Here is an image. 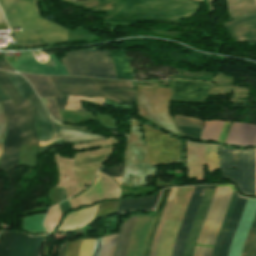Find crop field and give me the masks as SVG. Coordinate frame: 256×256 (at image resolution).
I'll list each match as a JSON object with an SVG mask.
<instances>
[{"mask_svg": "<svg viewBox=\"0 0 256 256\" xmlns=\"http://www.w3.org/2000/svg\"><path fill=\"white\" fill-rule=\"evenodd\" d=\"M35 0H0V8L9 27L21 26L23 32L14 33L17 43L9 47L51 45L66 41L67 29L41 19L36 11Z\"/></svg>", "mask_w": 256, "mask_h": 256, "instance_id": "crop-field-1", "label": "crop field"}, {"mask_svg": "<svg viewBox=\"0 0 256 256\" xmlns=\"http://www.w3.org/2000/svg\"><path fill=\"white\" fill-rule=\"evenodd\" d=\"M75 6L109 15H129L180 20L190 17L200 6L190 0H90Z\"/></svg>", "mask_w": 256, "mask_h": 256, "instance_id": "crop-field-2", "label": "crop field"}, {"mask_svg": "<svg viewBox=\"0 0 256 256\" xmlns=\"http://www.w3.org/2000/svg\"><path fill=\"white\" fill-rule=\"evenodd\" d=\"M220 167L221 176L235 182L240 193L255 196L256 150H226L220 147Z\"/></svg>", "mask_w": 256, "mask_h": 256, "instance_id": "crop-field-3", "label": "crop field"}, {"mask_svg": "<svg viewBox=\"0 0 256 256\" xmlns=\"http://www.w3.org/2000/svg\"><path fill=\"white\" fill-rule=\"evenodd\" d=\"M172 88L143 87L137 84V104L140 115L162 130L179 135L168 105Z\"/></svg>", "mask_w": 256, "mask_h": 256, "instance_id": "crop-field-4", "label": "crop field"}, {"mask_svg": "<svg viewBox=\"0 0 256 256\" xmlns=\"http://www.w3.org/2000/svg\"><path fill=\"white\" fill-rule=\"evenodd\" d=\"M62 62L70 75L117 79L109 51L80 50L68 52Z\"/></svg>", "mask_w": 256, "mask_h": 256, "instance_id": "crop-field-5", "label": "crop field"}, {"mask_svg": "<svg viewBox=\"0 0 256 256\" xmlns=\"http://www.w3.org/2000/svg\"><path fill=\"white\" fill-rule=\"evenodd\" d=\"M149 174L156 175V168L149 166L139 123L131 118L129 145L122 184L147 185L145 178Z\"/></svg>", "mask_w": 256, "mask_h": 256, "instance_id": "crop-field-6", "label": "crop field"}, {"mask_svg": "<svg viewBox=\"0 0 256 256\" xmlns=\"http://www.w3.org/2000/svg\"><path fill=\"white\" fill-rule=\"evenodd\" d=\"M5 73L18 89L23 98H29L30 100V104L32 106L36 120L39 145L60 139V133L55 125L54 120L48 115L42 102L37 98L29 83L17 74L9 72Z\"/></svg>", "mask_w": 256, "mask_h": 256, "instance_id": "crop-field-7", "label": "crop field"}, {"mask_svg": "<svg viewBox=\"0 0 256 256\" xmlns=\"http://www.w3.org/2000/svg\"><path fill=\"white\" fill-rule=\"evenodd\" d=\"M142 126L150 164L159 165L166 163H179V141L144 124H142Z\"/></svg>", "mask_w": 256, "mask_h": 256, "instance_id": "crop-field-8", "label": "crop field"}, {"mask_svg": "<svg viewBox=\"0 0 256 256\" xmlns=\"http://www.w3.org/2000/svg\"><path fill=\"white\" fill-rule=\"evenodd\" d=\"M1 104L8 119V131L0 161V170L8 172L10 169L19 166L18 153L22 141V130L12 101H5Z\"/></svg>", "mask_w": 256, "mask_h": 256, "instance_id": "crop-field-9", "label": "crop field"}, {"mask_svg": "<svg viewBox=\"0 0 256 256\" xmlns=\"http://www.w3.org/2000/svg\"><path fill=\"white\" fill-rule=\"evenodd\" d=\"M0 85L11 97L18 112L21 128L23 130L22 145L37 141V132L34 124V116L28 100H23L17 89L11 83L4 71L0 70Z\"/></svg>", "mask_w": 256, "mask_h": 256, "instance_id": "crop-field-10", "label": "crop field"}, {"mask_svg": "<svg viewBox=\"0 0 256 256\" xmlns=\"http://www.w3.org/2000/svg\"><path fill=\"white\" fill-rule=\"evenodd\" d=\"M44 237L0 232V256H37Z\"/></svg>", "mask_w": 256, "mask_h": 256, "instance_id": "crop-field-11", "label": "crop field"}, {"mask_svg": "<svg viewBox=\"0 0 256 256\" xmlns=\"http://www.w3.org/2000/svg\"><path fill=\"white\" fill-rule=\"evenodd\" d=\"M60 95L100 96L91 78L50 76Z\"/></svg>", "mask_w": 256, "mask_h": 256, "instance_id": "crop-field-12", "label": "crop field"}, {"mask_svg": "<svg viewBox=\"0 0 256 256\" xmlns=\"http://www.w3.org/2000/svg\"><path fill=\"white\" fill-rule=\"evenodd\" d=\"M205 187L206 186H198L194 188L186 214L184 216L180 231L176 239L172 256H183L185 244L190 233Z\"/></svg>", "mask_w": 256, "mask_h": 256, "instance_id": "crop-field-13", "label": "crop field"}, {"mask_svg": "<svg viewBox=\"0 0 256 256\" xmlns=\"http://www.w3.org/2000/svg\"><path fill=\"white\" fill-rule=\"evenodd\" d=\"M209 83L173 80L172 100L180 102H203L207 97Z\"/></svg>", "mask_w": 256, "mask_h": 256, "instance_id": "crop-field-14", "label": "crop field"}, {"mask_svg": "<svg viewBox=\"0 0 256 256\" xmlns=\"http://www.w3.org/2000/svg\"><path fill=\"white\" fill-rule=\"evenodd\" d=\"M102 97L119 103L133 105L134 91H104L109 89H132L131 82L93 79Z\"/></svg>", "mask_w": 256, "mask_h": 256, "instance_id": "crop-field-15", "label": "crop field"}, {"mask_svg": "<svg viewBox=\"0 0 256 256\" xmlns=\"http://www.w3.org/2000/svg\"><path fill=\"white\" fill-rule=\"evenodd\" d=\"M54 65L51 67L39 68L34 62L29 52L21 53V59L11 62L10 65L20 72H28L35 74H52V75H68L64 65H61L55 54L51 55Z\"/></svg>", "mask_w": 256, "mask_h": 256, "instance_id": "crop-field-16", "label": "crop field"}, {"mask_svg": "<svg viewBox=\"0 0 256 256\" xmlns=\"http://www.w3.org/2000/svg\"><path fill=\"white\" fill-rule=\"evenodd\" d=\"M216 186L217 185L206 187L191 233L189 235V238L186 244L184 256H192L193 254L196 239L198 237L199 231L201 229L202 223L204 221L205 215L207 213V210L210 205Z\"/></svg>", "mask_w": 256, "mask_h": 256, "instance_id": "crop-field-17", "label": "crop field"}, {"mask_svg": "<svg viewBox=\"0 0 256 256\" xmlns=\"http://www.w3.org/2000/svg\"><path fill=\"white\" fill-rule=\"evenodd\" d=\"M227 31L256 25V15L244 17L223 23ZM237 42L256 41V26H251L230 32ZM234 39V40H235Z\"/></svg>", "mask_w": 256, "mask_h": 256, "instance_id": "crop-field-18", "label": "crop field"}, {"mask_svg": "<svg viewBox=\"0 0 256 256\" xmlns=\"http://www.w3.org/2000/svg\"><path fill=\"white\" fill-rule=\"evenodd\" d=\"M153 216L138 215L126 256H141L144 240Z\"/></svg>", "mask_w": 256, "mask_h": 256, "instance_id": "crop-field-19", "label": "crop field"}, {"mask_svg": "<svg viewBox=\"0 0 256 256\" xmlns=\"http://www.w3.org/2000/svg\"><path fill=\"white\" fill-rule=\"evenodd\" d=\"M225 143L256 146V126L233 122Z\"/></svg>", "mask_w": 256, "mask_h": 256, "instance_id": "crop-field-20", "label": "crop field"}, {"mask_svg": "<svg viewBox=\"0 0 256 256\" xmlns=\"http://www.w3.org/2000/svg\"><path fill=\"white\" fill-rule=\"evenodd\" d=\"M247 199L238 197L235 208L233 210L232 216L230 218L229 224L227 226L226 232L224 234L223 240L220 245L218 256H227L230 244L232 242L235 230L237 228L239 219L241 217L244 205Z\"/></svg>", "mask_w": 256, "mask_h": 256, "instance_id": "crop-field-21", "label": "crop field"}, {"mask_svg": "<svg viewBox=\"0 0 256 256\" xmlns=\"http://www.w3.org/2000/svg\"><path fill=\"white\" fill-rule=\"evenodd\" d=\"M22 76L26 77L29 82L34 87L37 95L40 98L49 97V96H58V93L50 80L49 76H35L29 74L19 73Z\"/></svg>", "mask_w": 256, "mask_h": 256, "instance_id": "crop-field-22", "label": "crop field"}, {"mask_svg": "<svg viewBox=\"0 0 256 256\" xmlns=\"http://www.w3.org/2000/svg\"><path fill=\"white\" fill-rule=\"evenodd\" d=\"M159 193L160 192L146 198H139V199L127 198L126 200H121L116 213L131 211L135 209L149 210V208H154L156 201L158 199Z\"/></svg>", "mask_w": 256, "mask_h": 256, "instance_id": "crop-field-23", "label": "crop field"}, {"mask_svg": "<svg viewBox=\"0 0 256 256\" xmlns=\"http://www.w3.org/2000/svg\"><path fill=\"white\" fill-rule=\"evenodd\" d=\"M228 10L231 18L256 14L255 0H227Z\"/></svg>", "mask_w": 256, "mask_h": 256, "instance_id": "crop-field-24", "label": "crop field"}, {"mask_svg": "<svg viewBox=\"0 0 256 256\" xmlns=\"http://www.w3.org/2000/svg\"><path fill=\"white\" fill-rule=\"evenodd\" d=\"M170 190L171 189H164V191L162 193V196H161V199H160L157 211H156V213H155V215L153 217V221H152L151 227H150L149 232H148V234L146 236V240H145L142 256H149L151 245H152V241H153V237H154V233H155V230H156V227H157V224H158V220H159V217H160V215H161V213L163 211V208L165 206V203H166V200L168 198Z\"/></svg>", "mask_w": 256, "mask_h": 256, "instance_id": "crop-field-25", "label": "crop field"}, {"mask_svg": "<svg viewBox=\"0 0 256 256\" xmlns=\"http://www.w3.org/2000/svg\"><path fill=\"white\" fill-rule=\"evenodd\" d=\"M56 124L62 134V139L64 144L75 142V141H85V140H94L97 138H103V136H100V135L83 133V130H75L72 128L62 127L65 125H62L58 122H56ZM67 127H73V126H67ZM73 128H79V127H73ZM83 128L87 129L88 127H83Z\"/></svg>", "mask_w": 256, "mask_h": 256, "instance_id": "crop-field-26", "label": "crop field"}, {"mask_svg": "<svg viewBox=\"0 0 256 256\" xmlns=\"http://www.w3.org/2000/svg\"><path fill=\"white\" fill-rule=\"evenodd\" d=\"M137 216L130 217L127 221H125L121 226V232L118 236L114 256H125L130 234L135 223Z\"/></svg>", "mask_w": 256, "mask_h": 256, "instance_id": "crop-field-27", "label": "crop field"}, {"mask_svg": "<svg viewBox=\"0 0 256 256\" xmlns=\"http://www.w3.org/2000/svg\"><path fill=\"white\" fill-rule=\"evenodd\" d=\"M118 79L132 80L128 59L124 50L110 51Z\"/></svg>", "mask_w": 256, "mask_h": 256, "instance_id": "crop-field-28", "label": "crop field"}, {"mask_svg": "<svg viewBox=\"0 0 256 256\" xmlns=\"http://www.w3.org/2000/svg\"><path fill=\"white\" fill-rule=\"evenodd\" d=\"M231 90H234V95L231 99V102L244 103L242 101H238V98H245L247 95L248 88H229V87L218 86V85L212 84L208 95H226Z\"/></svg>", "mask_w": 256, "mask_h": 256, "instance_id": "crop-field-29", "label": "crop field"}, {"mask_svg": "<svg viewBox=\"0 0 256 256\" xmlns=\"http://www.w3.org/2000/svg\"><path fill=\"white\" fill-rule=\"evenodd\" d=\"M45 213L23 217V230L33 233L47 232L42 226Z\"/></svg>", "mask_w": 256, "mask_h": 256, "instance_id": "crop-field-30", "label": "crop field"}, {"mask_svg": "<svg viewBox=\"0 0 256 256\" xmlns=\"http://www.w3.org/2000/svg\"><path fill=\"white\" fill-rule=\"evenodd\" d=\"M223 123L224 122L219 121V120L206 121L205 125H204L203 132H202L201 139L217 141L219 134L221 132Z\"/></svg>", "mask_w": 256, "mask_h": 256, "instance_id": "crop-field-31", "label": "crop field"}, {"mask_svg": "<svg viewBox=\"0 0 256 256\" xmlns=\"http://www.w3.org/2000/svg\"><path fill=\"white\" fill-rule=\"evenodd\" d=\"M256 242V212L248 231L245 243L242 248L241 256H251L253 247Z\"/></svg>", "mask_w": 256, "mask_h": 256, "instance_id": "crop-field-32", "label": "crop field"}, {"mask_svg": "<svg viewBox=\"0 0 256 256\" xmlns=\"http://www.w3.org/2000/svg\"><path fill=\"white\" fill-rule=\"evenodd\" d=\"M218 146L207 145L205 146L204 158L207 165L208 173L218 169Z\"/></svg>", "mask_w": 256, "mask_h": 256, "instance_id": "crop-field-33", "label": "crop field"}, {"mask_svg": "<svg viewBox=\"0 0 256 256\" xmlns=\"http://www.w3.org/2000/svg\"><path fill=\"white\" fill-rule=\"evenodd\" d=\"M237 197H238V196L235 194V191H234V194H233L232 199H231V202H230V204H229L227 213H226L225 218H224V221H223V223H222L220 232H219L218 237H217V240H216V242H215L212 256H217L220 242H221V240H222L223 234H224V232H225L226 226H227V224H228V221H229V218H230V216H231V213H232V210H233V208H234V205H235V202H236V200H237Z\"/></svg>", "mask_w": 256, "mask_h": 256, "instance_id": "crop-field-34", "label": "crop field"}, {"mask_svg": "<svg viewBox=\"0 0 256 256\" xmlns=\"http://www.w3.org/2000/svg\"><path fill=\"white\" fill-rule=\"evenodd\" d=\"M53 207V206H52ZM61 218V213L59 209V205L57 204L53 208H51L46 216L44 221V227L48 230V232L53 231L58 221Z\"/></svg>", "mask_w": 256, "mask_h": 256, "instance_id": "crop-field-35", "label": "crop field"}, {"mask_svg": "<svg viewBox=\"0 0 256 256\" xmlns=\"http://www.w3.org/2000/svg\"><path fill=\"white\" fill-rule=\"evenodd\" d=\"M117 235L105 237L103 240L100 256H113Z\"/></svg>", "mask_w": 256, "mask_h": 256, "instance_id": "crop-field-36", "label": "crop field"}, {"mask_svg": "<svg viewBox=\"0 0 256 256\" xmlns=\"http://www.w3.org/2000/svg\"><path fill=\"white\" fill-rule=\"evenodd\" d=\"M176 189H177V188H174V189L171 190V193H170V195H169V198H168L166 207H165V209H164L162 218H161V220H160V223H159V226H158V229H157V232H156L154 238H159V237H160V234H161V231H162V229H163V226H164V223H165L167 214H168V212H169V209H170V206H171L173 197H174V195H175Z\"/></svg>", "mask_w": 256, "mask_h": 256, "instance_id": "crop-field-37", "label": "crop field"}, {"mask_svg": "<svg viewBox=\"0 0 256 256\" xmlns=\"http://www.w3.org/2000/svg\"><path fill=\"white\" fill-rule=\"evenodd\" d=\"M175 121L177 125H184V126H196V127H201L202 126V121L194 118H188L184 116H178L174 115Z\"/></svg>", "mask_w": 256, "mask_h": 256, "instance_id": "crop-field-38", "label": "crop field"}, {"mask_svg": "<svg viewBox=\"0 0 256 256\" xmlns=\"http://www.w3.org/2000/svg\"><path fill=\"white\" fill-rule=\"evenodd\" d=\"M107 155L108 154H102V155H95V156H89V157H83V158H75L74 166L83 165V164H89V163L102 162V160Z\"/></svg>", "mask_w": 256, "mask_h": 256, "instance_id": "crop-field-39", "label": "crop field"}, {"mask_svg": "<svg viewBox=\"0 0 256 256\" xmlns=\"http://www.w3.org/2000/svg\"><path fill=\"white\" fill-rule=\"evenodd\" d=\"M181 136L197 139L201 128L178 126Z\"/></svg>", "mask_w": 256, "mask_h": 256, "instance_id": "crop-field-40", "label": "crop field"}, {"mask_svg": "<svg viewBox=\"0 0 256 256\" xmlns=\"http://www.w3.org/2000/svg\"><path fill=\"white\" fill-rule=\"evenodd\" d=\"M95 239L83 240L79 256H91Z\"/></svg>", "mask_w": 256, "mask_h": 256, "instance_id": "crop-field-41", "label": "crop field"}, {"mask_svg": "<svg viewBox=\"0 0 256 256\" xmlns=\"http://www.w3.org/2000/svg\"><path fill=\"white\" fill-rule=\"evenodd\" d=\"M81 241L69 243L68 246H67L65 256H78Z\"/></svg>", "mask_w": 256, "mask_h": 256, "instance_id": "crop-field-42", "label": "crop field"}, {"mask_svg": "<svg viewBox=\"0 0 256 256\" xmlns=\"http://www.w3.org/2000/svg\"><path fill=\"white\" fill-rule=\"evenodd\" d=\"M213 82L221 83L226 86H231L233 77L218 73L212 80Z\"/></svg>", "mask_w": 256, "mask_h": 256, "instance_id": "crop-field-43", "label": "crop field"}, {"mask_svg": "<svg viewBox=\"0 0 256 256\" xmlns=\"http://www.w3.org/2000/svg\"><path fill=\"white\" fill-rule=\"evenodd\" d=\"M48 105H46L47 109L49 110L50 114L53 115L55 118L59 119L60 121L61 118L59 116V113L57 111L56 105L54 103L53 98H46Z\"/></svg>", "mask_w": 256, "mask_h": 256, "instance_id": "crop-field-44", "label": "crop field"}, {"mask_svg": "<svg viewBox=\"0 0 256 256\" xmlns=\"http://www.w3.org/2000/svg\"><path fill=\"white\" fill-rule=\"evenodd\" d=\"M5 129H6L5 117L0 106V152H1L3 138L5 135Z\"/></svg>", "mask_w": 256, "mask_h": 256, "instance_id": "crop-field-45", "label": "crop field"}, {"mask_svg": "<svg viewBox=\"0 0 256 256\" xmlns=\"http://www.w3.org/2000/svg\"><path fill=\"white\" fill-rule=\"evenodd\" d=\"M99 170H101L102 172H104L110 176L120 175V174H122L123 165L114 166V167H110V168H101Z\"/></svg>", "mask_w": 256, "mask_h": 256, "instance_id": "crop-field-46", "label": "crop field"}, {"mask_svg": "<svg viewBox=\"0 0 256 256\" xmlns=\"http://www.w3.org/2000/svg\"><path fill=\"white\" fill-rule=\"evenodd\" d=\"M183 145H184V140L180 139V144H179L180 163H181L183 168H186L185 159H184V152H183Z\"/></svg>", "mask_w": 256, "mask_h": 256, "instance_id": "crop-field-47", "label": "crop field"}, {"mask_svg": "<svg viewBox=\"0 0 256 256\" xmlns=\"http://www.w3.org/2000/svg\"><path fill=\"white\" fill-rule=\"evenodd\" d=\"M230 121H226L225 124H224V127H223V130L221 132V135H220V138H219V142H225V138H226V134H227V131H228V128L230 126Z\"/></svg>", "mask_w": 256, "mask_h": 256, "instance_id": "crop-field-48", "label": "crop field"}, {"mask_svg": "<svg viewBox=\"0 0 256 256\" xmlns=\"http://www.w3.org/2000/svg\"><path fill=\"white\" fill-rule=\"evenodd\" d=\"M102 239H103V238H101V239H96L92 256H99V252H100V248H101Z\"/></svg>", "mask_w": 256, "mask_h": 256, "instance_id": "crop-field-49", "label": "crop field"}, {"mask_svg": "<svg viewBox=\"0 0 256 256\" xmlns=\"http://www.w3.org/2000/svg\"><path fill=\"white\" fill-rule=\"evenodd\" d=\"M62 214L64 215L68 210H70V204L68 200L60 203Z\"/></svg>", "mask_w": 256, "mask_h": 256, "instance_id": "crop-field-50", "label": "crop field"}, {"mask_svg": "<svg viewBox=\"0 0 256 256\" xmlns=\"http://www.w3.org/2000/svg\"><path fill=\"white\" fill-rule=\"evenodd\" d=\"M66 97L54 98L59 109H63Z\"/></svg>", "mask_w": 256, "mask_h": 256, "instance_id": "crop-field-51", "label": "crop field"}, {"mask_svg": "<svg viewBox=\"0 0 256 256\" xmlns=\"http://www.w3.org/2000/svg\"><path fill=\"white\" fill-rule=\"evenodd\" d=\"M0 69L14 71V70L6 63V61H5L4 59H1V60H0Z\"/></svg>", "mask_w": 256, "mask_h": 256, "instance_id": "crop-field-52", "label": "crop field"}, {"mask_svg": "<svg viewBox=\"0 0 256 256\" xmlns=\"http://www.w3.org/2000/svg\"><path fill=\"white\" fill-rule=\"evenodd\" d=\"M58 193H59V202L67 198L64 188L58 189Z\"/></svg>", "mask_w": 256, "mask_h": 256, "instance_id": "crop-field-53", "label": "crop field"}, {"mask_svg": "<svg viewBox=\"0 0 256 256\" xmlns=\"http://www.w3.org/2000/svg\"><path fill=\"white\" fill-rule=\"evenodd\" d=\"M4 100H10L8 98V96L4 93L3 89L0 88V101H4Z\"/></svg>", "mask_w": 256, "mask_h": 256, "instance_id": "crop-field-54", "label": "crop field"}, {"mask_svg": "<svg viewBox=\"0 0 256 256\" xmlns=\"http://www.w3.org/2000/svg\"><path fill=\"white\" fill-rule=\"evenodd\" d=\"M3 29H8L6 23L0 24V30H3Z\"/></svg>", "mask_w": 256, "mask_h": 256, "instance_id": "crop-field-55", "label": "crop field"}, {"mask_svg": "<svg viewBox=\"0 0 256 256\" xmlns=\"http://www.w3.org/2000/svg\"><path fill=\"white\" fill-rule=\"evenodd\" d=\"M1 22H6V21H5L4 17H3V14L1 12V10H0V23Z\"/></svg>", "mask_w": 256, "mask_h": 256, "instance_id": "crop-field-56", "label": "crop field"}, {"mask_svg": "<svg viewBox=\"0 0 256 256\" xmlns=\"http://www.w3.org/2000/svg\"><path fill=\"white\" fill-rule=\"evenodd\" d=\"M65 245L61 247L59 256H63Z\"/></svg>", "mask_w": 256, "mask_h": 256, "instance_id": "crop-field-57", "label": "crop field"}, {"mask_svg": "<svg viewBox=\"0 0 256 256\" xmlns=\"http://www.w3.org/2000/svg\"><path fill=\"white\" fill-rule=\"evenodd\" d=\"M252 256H256V245H255V248H254V250H253Z\"/></svg>", "mask_w": 256, "mask_h": 256, "instance_id": "crop-field-58", "label": "crop field"}, {"mask_svg": "<svg viewBox=\"0 0 256 256\" xmlns=\"http://www.w3.org/2000/svg\"><path fill=\"white\" fill-rule=\"evenodd\" d=\"M64 2H69V3H72L71 0H63Z\"/></svg>", "mask_w": 256, "mask_h": 256, "instance_id": "crop-field-59", "label": "crop field"}]
</instances>
